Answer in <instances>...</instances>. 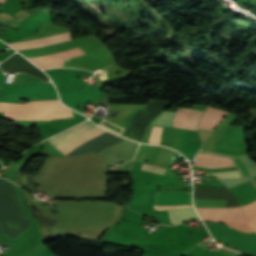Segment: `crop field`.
Returning a JSON list of instances; mask_svg holds the SVG:
<instances>
[{
    "mask_svg": "<svg viewBox=\"0 0 256 256\" xmlns=\"http://www.w3.org/2000/svg\"><path fill=\"white\" fill-rule=\"evenodd\" d=\"M69 110L58 100L30 101L24 104L0 103V112H42ZM4 118L9 121L44 120L73 117L71 111L43 112V113H5Z\"/></svg>",
    "mask_w": 256,
    "mask_h": 256,
    "instance_id": "obj_1",
    "label": "crop field"
},
{
    "mask_svg": "<svg viewBox=\"0 0 256 256\" xmlns=\"http://www.w3.org/2000/svg\"><path fill=\"white\" fill-rule=\"evenodd\" d=\"M96 125H94L93 123H91L90 121H86L84 123H81L77 126H75L74 128L65 131L51 139H49L48 141L53 145H57L75 135H78L92 127H94ZM106 130H103L102 128L96 126L76 137H73L57 146H55L56 149H58L61 153H63L64 155L67 154L68 152L72 151L73 149H75L76 147H78L79 145L83 144L84 142L102 134L103 132H105Z\"/></svg>",
    "mask_w": 256,
    "mask_h": 256,
    "instance_id": "obj_2",
    "label": "crop field"
},
{
    "mask_svg": "<svg viewBox=\"0 0 256 256\" xmlns=\"http://www.w3.org/2000/svg\"><path fill=\"white\" fill-rule=\"evenodd\" d=\"M203 220H217L244 232H253L244 219L241 207L235 208H197ZM234 228V229H235Z\"/></svg>",
    "mask_w": 256,
    "mask_h": 256,
    "instance_id": "obj_3",
    "label": "crop field"
},
{
    "mask_svg": "<svg viewBox=\"0 0 256 256\" xmlns=\"http://www.w3.org/2000/svg\"><path fill=\"white\" fill-rule=\"evenodd\" d=\"M195 198L227 200L226 207L240 206L236 198L226 187H202L195 186Z\"/></svg>",
    "mask_w": 256,
    "mask_h": 256,
    "instance_id": "obj_4",
    "label": "crop field"
},
{
    "mask_svg": "<svg viewBox=\"0 0 256 256\" xmlns=\"http://www.w3.org/2000/svg\"><path fill=\"white\" fill-rule=\"evenodd\" d=\"M0 68L3 71L19 70V71L30 73V74H32L36 77L42 78L46 81L49 80L48 77L44 73H42L35 66H33L31 63H29L27 60H25L23 57H21L18 54L12 55L7 60H5L3 63H1Z\"/></svg>",
    "mask_w": 256,
    "mask_h": 256,
    "instance_id": "obj_5",
    "label": "crop field"
},
{
    "mask_svg": "<svg viewBox=\"0 0 256 256\" xmlns=\"http://www.w3.org/2000/svg\"><path fill=\"white\" fill-rule=\"evenodd\" d=\"M84 54L85 53L77 47V48L69 49V50L54 53V54L31 58L29 60H31L40 68H43V67L61 65L63 64V60L65 59L84 55Z\"/></svg>",
    "mask_w": 256,
    "mask_h": 256,
    "instance_id": "obj_6",
    "label": "crop field"
},
{
    "mask_svg": "<svg viewBox=\"0 0 256 256\" xmlns=\"http://www.w3.org/2000/svg\"><path fill=\"white\" fill-rule=\"evenodd\" d=\"M70 39H71L70 32H66V33H61L57 35L33 39V40L10 43V45L17 50H22V49L42 47V46L70 40Z\"/></svg>",
    "mask_w": 256,
    "mask_h": 256,
    "instance_id": "obj_7",
    "label": "crop field"
},
{
    "mask_svg": "<svg viewBox=\"0 0 256 256\" xmlns=\"http://www.w3.org/2000/svg\"><path fill=\"white\" fill-rule=\"evenodd\" d=\"M202 113V111L179 108L174 117V127L197 130L198 120Z\"/></svg>",
    "mask_w": 256,
    "mask_h": 256,
    "instance_id": "obj_8",
    "label": "crop field"
},
{
    "mask_svg": "<svg viewBox=\"0 0 256 256\" xmlns=\"http://www.w3.org/2000/svg\"><path fill=\"white\" fill-rule=\"evenodd\" d=\"M161 204H192L191 192L156 193L154 205Z\"/></svg>",
    "mask_w": 256,
    "mask_h": 256,
    "instance_id": "obj_9",
    "label": "crop field"
},
{
    "mask_svg": "<svg viewBox=\"0 0 256 256\" xmlns=\"http://www.w3.org/2000/svg\"><path fill=\"white\" fill-rule=\"evenodd\" d=\"M230 159V158H229ZM224 157L206 155L198 153L193 165L208 167V168H219V167H231L234 166L233 162Z\"/></svg>",
    "mask_w": 256,
    "mask_h": 256,
    "instance_id": "obj_10",
    "label": "crop field"
},
{
    "mask_svg": "<svg viewBox=\"0 0 256 256\" xmlns=\"http://www.w3.org/2000/svg\"><path fill=\"white\" fill-rule=\"evenodd\" d=\"M168 213H169L170 220L174 221L176 223H179V222H182L185 220L199 218L196 211L194 210V208L168 210ZM176 223H174V224H176Z\"/></svg>",
    "mask_w": 256,
    "mask_h": 256,
    "instance_id": "obj_11",
    "label": "crop field"
},
{
    "mask_svg": "<svg viewBox=\"0 0 256 256\" xmlns=\"http://www.w3.org/2000/svg\"><path fill=\"white\" fill-rule=\"evenodd\" d=\"M243 207L248 224L256 232V201Z\"/></svg>",
    "mask_w": 256,
    "mask_h": 256,
    "instance_id": "obj_12",
    "label": "crop field"
},
{
    "mask_svg": "<svg viewBox=\"0 0 256 256\" xmlns=\"http://www.w3.org/2000/svg\"><path fill=\"white\" fill-rule=\"evenodd\" d=\"M161 130H162L161 127H154L153 128V131L151 133V137H150L149 143L158 144L159 145Z\"/></svg>",
    "mask_w": 256,
    "mask_h": 256,
    "instance_id": "obj_13",
    "label": "crop field"
},
{
    "mask_svg": "<svg viewBox=\"0 0 256 256\" xmlns=\"http://www.w3.org/2000/svg\"><path fill=\"white\" fill-rule=\"evenodd\" d=\"M218 178H225V177H240L237 170L228 171V172H219V173H211Z\"/></svg>",
    "mask_w": 256,
    "mask_h": 256,
    "instance_id": "obj_14",
    "label": "crop field"
},
{
    "mask_svg": "<svg viewBox=\"0 0 256 256\" xmlns=\"http://www.w3.org/2000/svg\"><path fill=\"white\" fill-rule=\"evenodd\" d=\"M142 169L147 170V171L160 173V174H163V172L165 171L164 168H160V167H156V166H149V165H144Z\"/></svg>",
    "mask_w": 256,
    "mask_h": 256,
    "instance_id": "obj_15",
    "label": "crop field"
},
{
    "mask_svg": "<svg viewBox=\"0 0 256 256\" xmlns=\"http://www.w3.org/2000/svg\"><path fill=\"white\" fill-rule=\"evenodd\" d=\"M5 0H0V4H2Z\"/></svg>",
    "mask_w": 256,
    "mask_h": 256,
    "instance_id": "obj_16",
    "label": "crop field"
}]
</instances>
